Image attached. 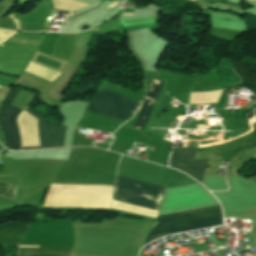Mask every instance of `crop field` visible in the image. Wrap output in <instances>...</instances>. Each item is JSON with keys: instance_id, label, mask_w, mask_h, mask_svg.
<instances>
[{"instance_id": "obj_1", "label": "crop field", "mask_w": 256, "mask_h": 256, "mask_svg": "<svg viewBox=\"0 0 256 256\" xmlns=\"http://www.w3.org/2000/svg\"><path fill=\"white\" fill-rule=\"evenodd\" d=\"M219 224H223L220 206L160 216L149 231L143 246L161 236Z\"/></svg>"}, {"instance_id": "obj_2", "label": "crop field", "mask_w": 256, "mask_h": 256, "mask_svg": "<svg viewBox=\"0 0 256 256\" xmlns=\"http://www.w3.org/2000/svg\"><path fill=\"white\" fill-rule=\"evenodd\" d=\"M162 193V187L117 175L112 200L158 211Z\"/></svg>"}, {"instance_id": "obj_3", "label": "crop field", "mask_w": 256, "mask_h": 256, "mask_svg": "<svg viewBox=\"0 0 256 256\" xmlns=\"http://www.w3.org/2000/svg\"><path fill=\"white\" fill-rule=\"evenodd\" d=\"M140 101L98 88L86 110L126 122L137 111Z\"/></svg>"}, {"instance_id": "obj_4", "label": "crop field", "mask_w": 256, "mask_h": 256, "mask_svg": "<svg viewBox=\"0 0 256 256\" xmlns=\"http://www.w3.org/2000/svg\"><path fill=\"white\" fill-rule=\"evenodd\" d=\"M18 89L11 88L0 105V127L9 149L20 150V138L16 127V116L24 108L10 106Z\"/></svg>"}, {"instance_id": "obj_5", "label": "crop field", "mask_w": 256, "mask_h": 256, "mask_svg": "<svg viewBox=\"0 0 256 256\" xmlns=\"http://www.w3.org/2000/svg\"><path fill=\"white\" fill-rule=\"evenodd\" d=\"M207 160L194 161V148L173 149L169 166L182 170L201 181Z\"/></svg>"}, {"instance_id": "obj_6", "label": "crop field", "mask_w": 256, "mask_h": 256, "mask_svg": "<svg viewBox=\"0 0 256 256\" xmlns=\"http://www.w3.org/2000/svg\"><path fill=\"white\" fill-rule=\"evenodd\" d=\"M26 109L38 118L37 126L41 137V146L26 147L22 149L50 148L63 146L66 127L56 126L52 123L45 122L43 121L44 118L38 113H36L31 107H27Z\"/></svg>"}, {"instance_id": "obj_7", "label": "crop field", "mask_w": 256, "mask_h": 256, "mask_svg": "<svg viewBox=\"0 0 256 256\" xmlns=\"http://www.w3.org/2000/svg\"><path fill=\"white\" fill-rule=\"evenodd\" d=\"M163 83V80L162 81H156L154 80L153 83H152V86L144 100V103L139 111V114H138V117L136 119V122H135V125H134V129H138V128H141L143 129V126L146 122V119L150 113V110L153 106V103L156 99V96L160 90V87Z\"/></svg>"}, {"instance_id": "obj_8", "label": "crop field", "mask_w": 256, "mask_h": 256, "mask_svg": "<svg viewBox=\"0 0 256 256\" xmlns=\"http://www.w3.org/2000/svg\"><path fill=\"white\" fill-rule=\"evenodd\" d=\"M28 224L10 222L0 226V244L1 243H16L19 244Z\"/></svg>"}, {"instance_id": "obj_9", "label": "crop field", "mask_w": 256, "mask_h": 256, "mask_svg": "<svg viewBox=\"0 0 256 256\" xmlns=\"http://www.w3.org/2000/svg\"><path fill=\"white\" fill-rule=\"evenodd\" d=\"M39 247V246H20ZM72 246H40V248H20L18 254H46L69 256ZM18 256H45V255H18Z\"/></svg>"}, {"instance_id": "obj_10", "label": "crop field", "mask_w": 256, "mask_h": 256, "mask_svg": "<svg viewBox=\"0 0 256 256\" xmlns=\"http://www.w3.org/2000/svg\"><path fill=\"white\" fill-rule=\"evenodd\" d=\"M15 190L16 186L0 182V197H4L17 202L15 197Z\"/></svg>"}, {"instance_id": "obj_11", "label": "crop field", "mask_w": 256, "mask_h": 256, "mask_svg": "<svg viewBox=\"0 0 256 256\" xmlns=\"http://www.w3.org/2000/svg\"><path fill=\"white\" fill-rule=\"evenodd\" d=\"M123 14H128V13H123Z\"/></svg>"}]
</instances>
